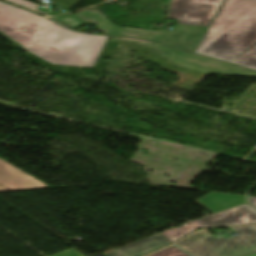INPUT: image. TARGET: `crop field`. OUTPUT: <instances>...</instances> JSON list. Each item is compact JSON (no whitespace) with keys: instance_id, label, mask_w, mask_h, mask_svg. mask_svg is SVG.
<instances>
[{"instance_id":"d9b57169","label":"crop field","mask_w":256,"mask_h":256,"mask_svg":"<svg viewBox=\"0 0 256 256\" xmlns=\"http://www.w3.org/2000/svg\"><path fill=\"white\" fill-rule=\"evenodd\" d=\"M244 256H256V252L252 254L244 255Z\"/></svg>"},{"instance_id":"cbeb9de0","label":"crop field","mask_w":256,"mask_h":256,"mask_svg":"<svg viewBox=\"0 0 256 256\" xmlns=\"http://www.w3.org/2000/svg\"><path fill=\"white\" fill-rule=\"evenodd\" d=\"M52 256H84L76 250L72 249Z\"/></svg>"},{"instance_id":"22f410ed","label":"crop field","mask_w":256,"mask_h":256,"mask_svg":"<svg viewBox=\"0 0 256 256\" xmlns=\"http://www.w3.org/2000/svg\"><path fill=\"white\" fill-rule=\"evenodd\" d=\"M7 1L13 2L15 4H18L20 6L26 7V8L31 9V10H34V9L38 8L37 5L32 4L30 2H27L25 0H7Z\"/></svg>"},{"instance_id":"28ad6ade","label":"crop field","mask_w":256,"mask_h":256,"mask_svg":"<svg viewBox=\"0 0 256 256\" xmlns=\"http://www.w3.org/2000/svg\"><path fill=\"white\" fill-rule=\"evenodd\" d=\"M51 18L73 29L85 23L84 21L78 19L72 14L64 15L61 17H51Z\"/></svg>"},{"instance_id":"ac0d7876","label":"crop field","mask_w":256,"mask_h":256,"mask_svg":"<svg viewBox=\"0 0 256 256\" xmlns=\"http://www.w3.org/2000/svg\"><path fill=\"white\" fill-rule=\"evenodd\" d=\"M222 2L223 0H171L169 18L179 20L173 32L117 27L98 11L86 10L74 15L87 23L95 24L98 30L107 35L138 37L194 52Z\"/></svg>"},{"instance_id":"5a996713","label":"crop field","mask_w":256,"mask_h":256,"mask_svg":"<svg viewBox=\"0 0 256 256\" xmlns=\"http://www.w3.org/2000/svg\"><path fill=\"white\" fill-rule=\"evenodd\" d=\"M211 212L215 213L238 205L245 204L244 196L211 193L197 201Z\"/></svg>"},{"instance_id":"8a807250","label":"crop field","mask_w":256,"mask_h":256,"mask_svg":"<svg viewBox=\"0 0 256 256\" xmlns=\"http://www.w3.org/2000/svg\"><path fill=\"white\" fill-rule=\"evenodd\" d=\"M0 35L51 63L94 67L108 37L71 32L28 11L0 2Z\"/></svg>"},{"instance_id":"f4fd0767","label":"crop field","mask_w":256,"mask_h":256,"mask_svg":"<svg viewBox=\"0 0 256 256\" xmlns=\"http://www.w3.org/2000/svg\"><path fill=\"white\" fill-rule=\"evenodd\" d=\"M111 38L140 42V43L151 45L156 49L162 50V56L172 58L170 62L177 63L181 67H185V68H189V69H193V70H197L205 73L256 77L255 71H252L240 66H236L233 64L225 63L222 61L214 60L211 58H207L201 55L172 49L157 43H153L145 40L133 39V38H120V37H111Z\"/></svg>"},{"instance_id":"412701ff","label":"crop field","mask_w":256,"mask_h":256,"mask_svg":"<svg viewBox=\"0 0 256 256\" xmlns=\"http://www.w3.org/2000/svg\"><path fill=\"white\" fill-rule=\"evenodd\" d=\"M232 229L239 235L217 239L204 231L177 245L193 256H240L256 251V226Z\"/></svg>"},{"instance_id":"5142ce71","label":"crop field","mask_w":256,"mask_h":256,"mask_svg":"<svg viewBox=\"0 0 256 256\" xmlns=\"http://www.w3.org/2000/svg\"><path fill=\"white\" fill-rule=\"evenodd\" d=\"M249 200L256 207V197H249Z\"/></svg>"},{"instance_id":"d1516ede","label":"crop field","mask_w":256,"mask_h":256,"mask_svg":"<svg viewBox=\"0 0 256 256\" xmlns=\"http://www.w3.org/2000/svg\"><path fill=\"white\" fill-rule=\"evenodd\" d=\"M149 256H189L176 246L169 247L163 251L153 253Z\"/></svg>"},{"instance_id":"dd49c442","label":"crop field","mask_w":256,"mask_h":256,"mask_svg":"<svg viewBox=\"0 0 256 256\" xmlns=\"http://www.w3.org/2000/svg\"><path fill=\"white\" fill-rule=\"evenodd\" d=\"M256 223V211L248 204L189 221L178 228L161 233L171 242L177 241L196 229L211 226H226Z\"/></svg>"},{"instance_id":"e52e79f7","label":"crop field","mask_w":256,"mask_h":256,"mask_svg":"<svg viewBox=\"0 0 256 256\" xmlns=\"http://www.w3.org/2000/svg\"><path fill=\"white\" fill-rule=\"evenodd\" d=\"M50 188L0 159V192Z\"/></svg>"},{"instance_id":"d8731c3e","label":"crop field","mask_w":256,"mask_h":256,"mask_svg":"<svg viewBox=\"0 0 256 256\" xmlns=\"http://www.w3.org/2000/svg\"><path fill=\"white\" fill-rule=\"evenodd\" d=\"M171 242L161 237L159 234L131 244L119 250L106 252V256H139L141 254L159 249Z\"/></svg>"},{"instance_id":"3316defc","label":"crop field","mask_w":256,"mask_h":256,"mask_svg":"<svg viewBox=\"0 0 256 256\" xmlns=\"http://www.w3.org/2000/svg\"><path fill=\"white\" fill-rule=\"evenodd\" d=\"M233 63L256 70V45L235 59Z\"/></svg>"},{"instance_id":"34b2d1b8","label":"crop field","mask_w":256,"mask_h":256,"mask_svg":"<svg viewBox=\"0 0 256 256\" xmlns=\"http://www.w3.org/2000/svg\"><path fill=\"white\" fill-rule=\"evenodd\" d=\"M256 44V0H225L196 53L233 61Z\"/></svg>"}]
</instances>
